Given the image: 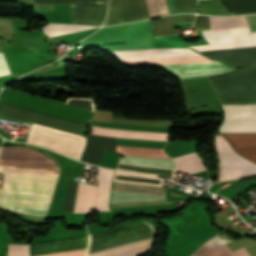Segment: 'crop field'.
<instances>
[{
  "instance_id": "obj_1",
  "label": "crop field",
  "mask_w": 256,
  "mask_h": 256,
  "mask_svg": "<svg viewBox=\"0 0 256 256\" xmlns=\"http://www.w3.org/2000/svg\"><path fill=\"white\" fill-rule=\"evenodd\" d=\"M57 176L5 173L0 198L49 203ZM0 199V209L44 217L48 204Z\"/></svg>"
},
{
  "instance_id": "obj_2",
  "label": "crop field",
  "mask_w": 256,
  "mask_h": 256,
  "mask_svg": "<svg viewBox=\"0 0 256 256\" xmlns=\"http://www.w3.org/2000/svg\"><path fill=\"white\" fill-rule=\"evenodd\" d=\"M225 122L220 130H256V105L222 106ZM232 147H256V131H219ZM242 156L256 163L255 148H234Z\"/></svg>"
},
{
  "instance_id": "obj_3",
  "label": "crop field",
  "mask_w": 256,
  "mask_h": 256,
  "mask_svg": "<svg viewBox=\"0 0 256 256\" xmlns=\"http://www.w3.org/2000/svg\"><path fill=\"white\" fill-rule=\"evenodd\" d=\"M119 60L124 65H127V66L165 65V64H180V63L211 61L202 55L128 58V59H119ZM160 67L164 68L165 70L173 73L174 75L180 78L215 75V74H221V73L234 70L232 68L225 66L223 63H219V62L165 65Z\"/></svg>"
},
{
  "instance_id": "obj_4",
  "label": "crop field",
  "mask_w": 256,
  "mask_h": 256,
  "mask_svg": "<svg viewBox=\"0 0 256 256\" xmlns=\"http://www.w3.org/2000/svg\"><path fill=\"white\" fill-rule=\"evenodd\" d=\"M92 134L113 136V137H123V138L157 140V141H167V137H168V134L166 133L115 130V129H105V128H99V127H93ZM116 149L164 153L163 150H157V149L121 147V146H116ZM123 150H116L115 152L121 153L122 155L168 157L166 154H154V153H144V152L123 151ZM137 156H125V158H119L118 161L170 167V168H174L175 166V163L171 158L137 157Z\"/></svg>"
},
{
  "instance_id": "obj_5",
  "label": "crop field",
  "mask_w": 256,
  "mask_h": 256,
  "mask_svg": "<svg viewBox=\"0 0 256 256\" xmlns=\"http://www.w3.org/2000/svg\"><path fill=\"white\" fill-rule=\"evenodd\" d=\"M210 45L193 46L199 51L256 45V32L249 33V28L217 31H202Z\"/></svg>"
},
{
  "instance_id": "obj_6",
  "label": "crop field",
  "mask_w": 256,
  "mask_h": 256,
  "mask_svg": "<svg viewBox=\"0 0 256 256\" xmlns=\"http://www.w3.org/2000/svg\"><path fill=\"white\" fill-rule=\"evenodd\" d=\"M217 137V152L221 159L220 180L256 174V164L239 156L221 137Z\"/></svg>"
},
{
  "instance_id": "obj_7",
  "label": "crop field",
  "mask_w": 256,
  "mask_h": 256,
  "mask_svg": "<svg viewBox=\"0 0 256 256\" xmlns=\"http://www.w3.org/2000/svg\"><path fill=\"white\" fill-rule=\"evenodd\" d=\"M167 201L164 189L113 182L110 203Z\"/></svg>"
},
{
  "instance_id": "obj_8",
  "label": "crop field",
  "mask_w": 256,
  "mask_h": 256,
  "mask_svg": "<svg viewBox=\"0 0 256 256\" xmlns=\"http://www.w3.org/2000/svg\"><path fill=\"white\" fill-rule=\"evenodd\" d=\"M144 0H111L104 25L148 19Z\"/></svg>"
},
{
  "instance_id": "obj_9",
  "label": "crop field",
  "mask_w": 256,
  "mask_h": 256,
  "mask_svg": "<svg viewBox=\"0 0 256 256\" xmlns=\"http://www.w3.org/2000/svg\"><path fill=\"white\" fill-rule=\"evenodd\" d=\"M107 3H82L70 5L72 23L100 25L105 17Z\"/></svg>"
},
{
  "instance_id": "obj_10",
  "label": "crop field",
  "mask_w": 256,
  "mask_h": 256,
  "mask_svg": "<svg viewBox=\"0 0 256 256\" xmlns=\"http://www.w3.org/2000/svg\"><path fill=\"white\" fill-rule=\"evenodd\" d=\"M114 171L100 168L99 189L96 198L95 210L110 211L108 208V200L110 193L111 177Z\"/></svg>"
},
{
  "instance_id": "obj_11",
  "label": "crop field",
  "mask_w": 256,
  "mask_h": 256,
  "mask_svg": "<svg viewBox=\"0 0 256 256\" xmlns=\"http://www.w3.org/2000/svg\"><path fill=\"white\" fill-rule=\"evenodd\" d=\"M97 186L78 183L74 212L89 213L94 206Z\"/></svg>"
},
{
  "instance_id": "obj_12",
  "label": "crop field",
  "mask_w": 256,
  "mask_h": 256,
  "mask_svg": "<svg viewBox=\"0 0 256 256\" xmlns=\"http://www.w3.org/2000/svg\"><path fill=\"white\" fill-rule=\"evenodd\" d=\"M177 163V170L195 173L206 171L200 157L196 152L173 158Z\"/></svg>"
},
{
  "instance_id": "obj_13",
  "label": "crop field",
  "mask_w": 256,
  "mask_h": 256,
  "mask_svg": "<svg viewBox=\"0 0 256 256\" xmlns=\"http://www.w3.org/2000/svg\"><path fill=\"white\" fill-rule=\"evenodd\" d=\"M95 28L94 26H74V25H59V24H49L42 27L43 32L49 36H56L64 33L80 31Z\"/></svg>"
},
{
  "instance_id": "obj_14",
  "label": "crop field",
  "mask_w": 256,
  "mask_h": 256,
  "mask_svg": "<svg viewBox=\"0 0 256 256\" xmlns=\"http://www.w3.org/2000/svg\"><path fill=\"white\" fill-rule=\"evenodd\" d=\"M198 256H250L244 247L233 252L225 245L212 249Z\"/></svg>"
},
{
  "instance_id": "obj_15",
  "label": "crop field",
  "mask_w": 256,
  "mask_h": 256,
  "mask_svg": "<svg viewBox=\"0 0 256 256\" xmlns=\"http://www.w3.org/2000/svg\"><path fill=\"white\" fill-rule=\"evenodd\" d=\"M150 17L168 13L165 0H146Z\"/></svg>"
},
{
  "instance_id": "obj_16",
  "label": "crop field",
  "mask_w": 256,
  "mask_h": 256,
  "mask_svg": "<svg viewBox=\"0 0 256 256\" xmlns=\"http://www.w3.org/2000/svg\"><path fill=\"white\" fill-rule=\"evenodd\" d=\"M150 246H151V244L146 245V246L137 247V248L128 249V250L109 253V254H105V255H100V256H138L140 254H144V253L148 252L150 249Z\"/></svg>"
},
{
  "instance_id": "obj_17",
  "label": "crop field",
  "mask_w": 256,
  "mask_h": 256,
  "mask_svg": "<svg viewBox=\"0 0 256 256\" xmlns=\"http://www.w3.org/2000/svg\"><path fill=\"white\" fill-rule=\"evenodd\" d=\"M231 240H226V239H220L219 237L215 236L214 238H212L211 240L205 242L198 250H196L191 256H195V255H198L202 252H205L209 249H212L216 246H219L221 244H224V243H228L230 242Z\"/></svg>"
},
{
  "instance_id": "obj_18",
  "label": "crop field",
  "mask_w": 256,
  "mask_h": 256,
  "mask_svg": "<svg viewBox=\"0 0 256 256\" xmlns=\"http://www.w3.org/2000/svg\"><path fill=\"white\" fill-rule=\"evenodd\" d=\"M29 245H8V256H29Z\"/></svg>"
},
{
  "instance_id": "obj_19",
  "label": "crop field",
  "mask_w": 256,
  "mask_h": 256,
  "mask_svg": "<svg viewBox=\"0 0 256 256\" xmlns=\"http://www.w3.org/2000/svg\"><path fill=\"white\" fill-rule=\"evenodd\" d=\"M9 69L4 59L3 53H0V76L9 75Z\"/></svg>"
},
{
  "instance_id": "obj_20",
  "label": "crop field",
  "mask_w": 256,
  "mask_h": 256,
  "mask_svg": "<svg viewBox=\"0 0 256 256\" xmlns=\"http://www.w3.org/2000/svg\"><path fill=\"white\" fill-rule=\"evenodd\" d=\"M85 250L82 251H74V252H66V253H58V254H50V255H42V256H83Z\"/></svg>"
}]
</instances>
